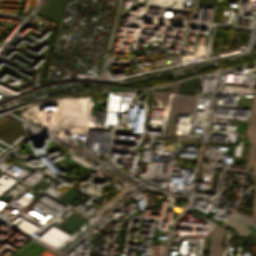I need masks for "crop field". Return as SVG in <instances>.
<instances>
[{"instance_id": "8a807250", "label": "crop field", "mask_w": 256, "mask_h": 256, "mask_svg": "<svg viewBox=\"0 0 256 256\" xmlns=\"http://www.w3.org/2000/svg\"><path fill=\"white\" fill-rule=\"evenodd\" d=\"M246 136L250 141L251 145L249 149L248 161L245 170H248L249 165H251L253 166V171L256 172V91L247 124Z\"/></svg>"}, {"instance_id": "ac0d7876", "label": "crop field", "mask_w": 256, "mask_h": 256, "mask_svg": "<svg viewBox=\"0 0 256 256\" xmlns=\"http://www.w3.org/2000/svg\"><path fill=\"white\" fill-rule=\"evenodd\" d=\"M195 100H196V98L178 96L177 101H175V100H173V96H172L170 111L193 113ZM172 112H170V123H169L168 135H170L172 121H173L174 113H172Z\"/></svg>"}, {"instance_id": "34b2d1b8", "label": "crop field", "mask_w": 256, "mask_h": 256, "mask_svg": "<svg viewBox=\"0 0 256 256\" xmlns=\"http://www.w3.org/2000/svg\"><path fill=\"white\" fill-rule=\"evenodd\" d=\"M224 233H225L224 228L215 224L214 233H213V237H212L211 245L209 249V256H221L222 239H223ZM205 244H206V239H204L201 256H203Z\"/></svg>"}, {"instance_id": "412701ff", "label": "crop field", "mask_w": 256, "mask_h": 256, "mask_svg": "<svg viewBox=\"0 0 256 256\" xmlns=\"http://www.w3.org/2000/svg\"><path fill=\"white\" fill-rule=\"evenodd\" d=\"M221 225L233 228L237 232V234L241 237H244L250 232H252L249 228L246 227L249 224H247L242 218H240L233 212L229 215V217L224 222L221 223Z\"/></svg>"}, {"instance_id": "f4fd0767", "label": "crop field", "mask_w": 256, "mask_h": 256, "mask_svg": "<svg viewBox=\"0 0 256 256\" xmlns=\"http://www.w3.org/2000/svg\"><path fill=\"white\" fill-rule=\"evenodd\" d=\"M178 84H175V85H172V90H168L167 92L165 91H161V92H158V93H154L153 95L156 96L158 99H160L166 106L168 104V99H169V95L171 93H174V92H177L178 90Z\"/></svg>"}, {"instance_id": "dd49c442", "label": "crop field", "mask_w": 256, "mask_h": 256, "mask_svg": "<svg viewBox=\"0 0 256 256\" xmlns=\"http://www.w3.org/2000/svg\"><path fill=\"white\" fill-rule=\"evenodd\" d=\"M120 4H121V0L118 1V5H117V9H116V13H115V17H114V21H113V25H112V29H111V33H110V37H109V41H108L106 52H108L110 50V46H111V42H112L114 30H115V25H116V20H117ZM107 55L108 54L105 53L106 57H107Z\"/></svg>"}, {"instance_id": "e52e79f7", "label": "crop field", "mask_w": 256, "mask_h": 256, "mask_svg": "<svg viewBox=\"0 0 256 256\" xmlns=\"http://www.w3.org/2000/svg\"><path fill=\"white\" fill-rule=\"evenodd\" d=\"M256 215V185H255V196H254V205H253V212L252 216Z\"/></svg>"}, {"instance_id": "d8731c3e", "label": "crop field", "mask_w": 256, "mask_h": 256, "mask_svg": "<svg viewBox=\"0 0 256 256\" xmlns=\"http://www.w3.org/2000/svg\"><path fill=\"white\" fill-rule=\"evenodd\" d=\"M105 66H106V59L104 60V64H103V68H102V72H104ZM102 72H101V73H102Z\"/></svg>"}]
</instances>
